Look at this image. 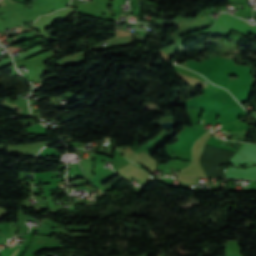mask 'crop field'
<instances>
[{
  "mask_svg": "<svg viewBox=\"0 0 256 256\" xmlns=\"http://www.w3.org/2000/svg\"><path fill=\"white\" fill-rule=\"evenodd\" d=\"M21 250H22V249H21ZM17 251H18V248H17L16 251L12 254V256H14ZM19 251H20V249H19ZM19 251H18V252H19ZM18 252H17V253H18ZM17 253H16V255H17ZM16 255H15V256H16Z\"/></svg>",
  "mask_w": 256,
  "mask_h": 256,
  "instance_id": "1",
  "label": "crop field"
}]
</instances>
